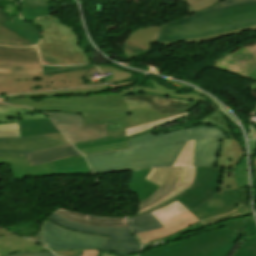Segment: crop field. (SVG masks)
Listing matches in <instances>:
<instances>
[{
  "mask_svg": "<svg viewBox=\"0 0 256 256\" xmlns=\"http://www.w3.org/2000/svg\"><path fill=\"white\" fill-rule=\"evenodd\" d=\"M123 99L128 109L148 108L171 116L188 112L199 104V102L167 98L155 94H133L124 96ZM201 102L212 106L217 111L207 118L200 119L195 125L213 124L222 127L224 132L231 137L230 140L223 138L217 168L196 167L195 181L188 189L173 199L136 216L148 214L175 200L200 220L227 212L235 207L242 216L252 214L247 200V188H237L234 180V169L245 153L218 108L207 99Z\"/></svg>",
  "mask_w": 256,
  "mask_h": 256,
  "instance_id": "crop-field-1",
  "label": "crop field"
},
{
  "mask_svg": "<svg viewBox=\"0 0 256 256\" xmlns=\"http://www.w3.org/2000/svg\"><path fill=\"white\" fill-rule=\"evenodd\" d=\"M222 137L226 138L225 134L214 127L190 128L157 136L149 132L128 139L129 149L85 157L93 174L154 166L144 179L161 187L139 204L142 210L174 191L182 182L186 167L172 166L188 141L195 140L193 167H214Z\"/></svg>",
  "mask_w": 256,
  "mask_h": 256,
  "instance_id": "crop-field-2",
  "label": "crop field"
},
{
  "mask_svg": "<svg viewBox=\"0 0 256 256\" xmlns=\"http://www.w3.org/2000/svg\"><path fill=\"white\" fill-rule=\"evenodd\" d=\"M0 101L10 105L31 107L38 111L83 114L84 123L106 124L109 135L123 133L128 127L171 117L148 109L128 110L119 92L13 100L0 98Z\"/></svg>",
  "mask_w": 256,
  "mask_h": 256,
  "instance_id": "crop-field-3",
  "label": "crop field"
},
{
  "mask_svg": "<svg viewBox=\"0 0 256 256\" xmlns=\"http://www.w3.org/2000/svg\"><path fill=\"white\" fill-rule=\"evenodd\" d=\"M256 25V0H223L217 5L162 25L157 41L202 38Z\"/></svg>",
  "mask_w": 256,
  "mask_h": 256,
  "instance_id": "crop-field-4",
  "label": "crop field"
},
{
  "mask_svg": "<svg viewBox=\"0 0 256 256\" xmlns=\"http://www.w3.org/2000/svg\"><path fill=\"white\" fill-rule=\"evenodd\" d=\"M31 23L44 30L41 42L37 45L44 64L92 63L78 46V36L75 31L62 25L59 19L46 15Z\"/></svg>",
  "mask_w": 256,
  "mask_h": 256,
  "instance_id": "crop-field-5",
  "label": "crop field"
},
{
  "mask_svg": "<svg viewBox=\"0 0 256 256\" xmlns=\"http://www.w3.org/2000/svg\"><path fill=\"white\" fill-rule=\"evenodd\" d=\"M96 70L92 68L46 76L0 73V95L85 86L83 76Z\"/></svg>",
  "mask_w": 256,
  "mask_h": 256,
  "instance_id": "crop-field-6",
  "label": "crop field"
},
{
  "mask_svg": "<svg viewBox=\"0 0 256 256\" xmlns=\"http://www.w3.org/2000/svg\"><path fill=\"white\" fill-rule=\"evenodd\" d=\"M238 238L227 229L216 230L142 256H226Z\"/></svg>",
  "mask_w": 256,
  "mask_h": 256,
  "instance_id": "crop-field-7",
  "label": "crop field"
},
{
  "mask_svg": "<svg viewBox=\"0 0 256 256\" xmlns=\"http://www.w3.org/2000/svg\"><path fill=\"white\" fill-rule=\"evenodd\" d=\"M46 219L70 230L109 236L101 250L118 256H128L140 251V245L129 227H95L71 222L55 213Z\"/></svg>",
  "mask_w": 256,
  "mask_h": 256,
  "instance_id": "crop-field-8",
  "label": "crop field"
},
{
  "mask_svg": "<svg viewBox=\"0 0 256 256\" xmlns=\"http://www.w3.org/2000/svg\"><path fill=\"white\" fill-rule=\"evenodd\" d=\"M107 237L75 232L57 226L46 219L40 228L39 242L53 250L100 249Z\"/></svg>",
  "mask_w": 256,
  "mask_h": 256,
  "instance_id": "crop-field-9",
  "label": "crop field"
},
{
  "mask_svg": "<svg viewBox=\"0 0 256 256\" xmlns=\"http://www.w3.org/2000/svg\"><path fill=\"white\" fill-rule=\"evenodd\" d=\"M178 202L175 201L152 212V214L165 227L162 229L137 234L136 237L141 242V244L172 235L181 229L197 221H200L189 210H187Z\"/></svg>",
  "mask_w": 256,
  "mask_h": 256,
  "instance_id": "crop-field-10",
  "label": "crop field"
},
{
  "mask_svg": "<svg viewBox=\"0 0 256 256\" xmlns=\"http://www.w3.org/2000/svg\"><path fill=\"white\" fill-rule=\"evenodd\" d=\"M64 137L61 133H57L26 138H2L0 157L27 158L25 153L68 144Z\"/></svg>",
  "mask_w": 256,
  "mask_h": 256,
  "instance_id": "crop-field-11",
  "label": "crop field"
},
{
  "mask_svg": "<svg viewBox=\"0 0 256 256\" xmlns=\"http://www.w3.org/2000/svg\"><path fill=\"white\" fill-rule=\"evenodd\" d=\"M71 143L106 136L105 125L84 124L83 116L73 113L44 112Z\"/></svg>",
  "mask_w": 256,
  "mask_h": 256,
  "instance_id": "crop-field-12",
  "label": "crop field"
},
{
  "mask_svg": "<svg viewBox=\"0 0 256 256\" xmlns=\"http://www.w3.org/2000/svg\"><path fill=\"white\" fill-rule=\"evenodd\" d=\"M42 64L36 47L7 48L0 46V72L42 75Z\"/></svg>",
  "mask_w": 256,
  "mask_h": 256,
  "instance_id": "crop-field-13",
  "label": "crop field"
},
{
  "mask_svg": "<svg viewBox=\"0 0 256 256\" xmlns=\"http://www.w3.org/2000/svg\"><path fill=\"white\" fill-rule=\"evenodd\" d=\"M49 251L38 243L0 228V256L17 252Z\"/></svg>",
  "mask_w": 256,
  "mask_h": 256,
  "instance_id": "crop-field-14",
  "label": "crop field"
},
{
  "mask_svg": "<svg viewBox=\"0 0 256 256\" xmlns=\"http://www.w3.org/2000/svg\"><path fill=\"white\" fill-rule=\"evenodd\" d=\"M125 134L106 136L88 141L74 143L73 145L83 154H93L112 150L125 149L127 147Z\"/></svg>",
  "mask_w": 256,
  "mask_h": 256,
  "instance_id": "crop-field-15",
  "label": "crop field"
},
{
  "mask_svg": "<svg viewBox=\"0 0 256 256\" xmlns=\"http://www.w3.org/2000/svg\"><path fill=\"white\" fill-rule=\"evenodd\" d=\"M193 150H194V141L188 142V144L185 146V148L183 149V151L181 152L180 156L178 157V159L176 160V162L173 166V167L187 166L185 178H184L183 182L179 185V187L174 192L169 194L168 196L164 197L160 201L154 203L153 205L149 206L148 208H146L142 211L153 208V207L173 198L174 196H176L177 194H179L180 192H182L183 190H185L192 184V182L194 180V175H195V167L192 168ZM142 211H139V213Z\"/></svg>",
  "mask_w": 256,
  "mask_h": 256,
  "instance_id": "crop-field-16",
  "label": "crop field"
},
{
  "mask_svg": "<svg viewBox=\"0 0 256 256\" xmlns=\"http://www.w3.org/2000/svg\"><path fill=\"white\" fill-rule=\"evenodd\" d=\"M0 25L21 35L34 45L38 43L40 38V30L18 16L9 18L2 7H0Z\"/></svg>",
  "mask_w": 256,
  "mask_h": 256,
  "instance_id": "crop-field-17",
  "label": "crop field"
},
{
  "mask_svg": "<svg viewBox=\"0 0 256 256\" xmlns=\"http://www.w3.org/2000/svg\"><path fill=\"white\" fill-rule=\"evenodd\" d=\"M0 164H8L14 178L43 177L51 175L49 163L29 167L27 159L0 158Z\"/></svg>",
  "mask_w": 256,
  "mask_h": 256,
  "instance_id": "crop-field-18",
  "label": "crop field"
},
{
  "mask_svg": "<svg viewBox=\"0 0 256 256\" xmlns=\"http://www.w3.org/2000/svg\"><path fill=\"white\" fill-rule=\"evenodd\" d=\"M26 155L28 157L30 166H34L80 154L71 144H68L64 146L28 153Z\"/></svg>",
  "mask_w": 256,
  "mask_h": 256,
  "instance_id": "crop-field-19",
  "label": "crop field"
},
{
  "mask_svg": "<svg viewBox=\"0 0 256 256\" xmlns=\"http://www.w3.org/2000/svg\"><path fill=\"white\" fill-rule=\"evenodd\" d=\"M160 26H151L146 29H140L132 32L128 39L125 41L127 46L134 48L152 49L150 43H155L158 37ZM153 50V49H152ZM125 56L136 57L133 51L123 50Z\"/></svg>",
  "mask_w": 256,
  "mask_h": 256,
  "instance_id": "crop-field-20",
  "label": "crop field"
},
{
  "mask_svg": "<svg viewBox=\"0 0 256 256\" xmlns=\"http://www.w3.org/2000/svg\"><path fill=\"white\" fill-rule=\"evenodd\" d=\"M52 175H91L82 155L52 162Z\"/></svg>",
  "mask_w": 256,
  "mask_h": 256,
  "instance_id": "crop-field-21",
  "label": "crop field"
},
{
  "mask_svg": "<svg viewBox=\"0 0 256 256\" xmlns=\"http://www.w3.org/2000/svg\"><path fill=\"white\" fill-rule=\"evenodd\" d=\"M54 212L59 215L83 224L95 225V226H129L125 217L120 218H101L94 216L81 215L77 213H73L61 208L56 209Z\"/></svg>",
  "mask_w": 256,
  "mask_h": 256,
  "instance_id": "crop-field-22",
  "label": "crop field"
},
{
  "mask_svg": "<svg viewBox=\"0 0 256 256\" xmlns=\"http://www.w3.org/2000/svg\"><path fill=\"white\" fill-rule=\"evenodd\" d=\"M120 93L122 96L127 94H133V93H156V94H160L168 97L186 99L191 101H201L206 99L197 94H175L174 92L163 87L162 85H160L158 82L154 80L138 87L137 89L121 91Z\"/></svg>",
  "mask_w": 256,
  "mask_h": 256,
  "instance_id": "crop-field-23",
  "label": "crop field"
},
{
  "mask_svg": "<svg viewBox=\"0 0 256 256\" xmlns=\"http://www.w3.org/2000/svg\"><path fill=\"white\" fill-rule=\"evenodd\" d=\"M21 137L60 132L49 118L18 120Z\"/></svg>",
  "mask_w": 256,
  "mask_h": 256,
  "instance_id": "crop-field-24",
  "label": "crop field"
},
{
  "mask_svg": "<svg viewBox=\"0 0 256 256\" xmlns=\"http://www.w3.org/2000/svg\"><path fill=\"white\" fill-rule=\"evenodd\" d=\"M150 170L132 172L127 183V186L138 196L139 203L150 196L159 187L143 179Z\"/></svg>",
  "mask_w": 256,
  "mask_h": 256,
  "instance_id": "crop-field-25",
  "label": "crop field"
},
{
  "mask_svg": "<svg viewBox=\"0 0 256 256\" xmlns=\"http://www.w3.org/2000/svg\"><path fill=\"white\" fill-rule=\"evenodd\" d=\"M44 114L26 108L11 107L0 103V123H18L17 119L42 118Z\"/></svg>",
  "mask_w": 256,
  "mask_h": 256,
  "instance_id": "crop-field-26",
  "label": "crop field"
},
{
  "mask_svg": "<svg viewBox=\"0 0 256 256\" xmlns=\"http://www.w3.org/2000/svg\"><path fill=\"white\" fill-rule=\"evenodd\" d=\"M50 1L61 2L63 0H22L20 2L21 17L27 21H32L33 19L50 14Z\"/></svg>",
  "mask_w": 256,
  "mask_h": 256,
  "instance_id": "crop-field-27",
  "label": "crop field"
},
{
  "mask_svg": "<svg viewBox=\"0 0 256 256\" xmlns=\"http://www.w3.org/2000/svg\"><path fill=\"white\" fill-rule=\"evenodd\" d=\"M107 86H94V87H84V88H75L68 90H58V91H48V92H40V93H32V94H24V95H16V96H8L4 98L13 99L15 97H52V96H60V95H86L100 91H106Z\"/></svg>",
  "mask_w": 256,
  "mask_h": 256,
  "instance_id": "crop-field-28",
  "label": "crop field"
},
{
  "mask_svg": "<svg viewBox=\"0 0 256 256\" xmlns=\"http://www.w3.org/2000/svg\"><path fill=\"white\" fill-rule=\"evenodd\" d=\"M128 222L134 234L164 227L151 213L145 216L128 219Z\"/></svg>",
  "mask_w": 256,
  "mask_h": 256,
  "instance_id": "crop-field-29",
  "label": "crop field"
},
{
  "mask_svg": "<svg viewBox=\"0 0 256 256\" xmlns=\"http://www.w3.org/2000/svg\"><path fill=\"white\" fill-rule=\"evenodd\" d=\"M244 229L246 231V234H253L255 235L249 237L239 248L238 250L233 254V256H256V252L253 248L252 243L256 241V226L255 222H245L243 223ZM249 246V248H248Z\"/></svg>",
  "mask_w": 256,
  "mask_h": 256,
  "instance_id": "crop-field-30",
  "label": "crop field"
},
{
  "mask_svg": "<svg viewBox=\"0 0 256 256\" xmlns=\"http://www.w3.org/2000/svg\"><path fill=\"white\" fill-rule=\"evenodd\" d=\"M188 116H189V112L185 113V114L177 115V116H174V117H171V118H168V119H164V120H161V121H157V122H153V123H149V124L129 128V129L126 130L125 134H126L127 137H129V136L138 134L140 132L152 129L154 127L161 126V125H164V124H167V123H170V122H173V121H176V120L188 117Z\"/></svg>",
  "mask_w": 256,
  "mask_h": 256,
  "instance_id": "crop-field-31",
  "label": "crop field"
},
{
  "mask_svg": "<svg viewBox=\"0 0 256 256\" xmlns=\"http://www.w3.org/2000/svg\"><path fill=\"white\" fill-rule=\"evenodd\" d=\"M254 220L252 216L250 217H246V218H241V219H236V220H232V221H227V222H223L217 226L211 227L209 229H206V231L211 230L213 228L216 227H220L223 225H226L228 230L234 235V236H240V235H246L243 229V226L241 224V222H245V221H251Z\"/></svg>",
  "mask_w": 256,
  "mask_h": 256,
  "instance_id": "crop-field-32",
  "label": "crop field"
},
{
  "mask_svg": "<svg viewBox=\"0 0 256 256\" xmlns=\"http://www.w3.org/2000/svg\"><path fill=\"white\" fill-rule=\"evenodd\" d=\"M174 1H180V0H174ZM188 5L187 9L189 12H197L206 8H209L221 0H186Z\"/></svg>",
  "mask_w": 256,
  "mask_h": 256,
  "instance_id": "crop-field-33",
  "label": "crop field"
},
{
  "mask_svg": "<svg viewBox=\"0 0 256 256\" xmlns=\"http://www.w3.org/2000/svg\"><path fill=\"white\" fill-rule=\"evenodd\" d=\"M101 70L102 73H106V72H111L112 76V80H108L105 81L106 83H112V82H120V81H124L126 79H129L131 74L122 72L120 70L117 69H112V68H108L106 66H98Z\"/></svg>",
  "mask_w": 256,
  "mask_h": 256,
  "instance_id": "crop-field-34",
  "label": "crop field"
},
{
  "mask_svg": "<svg viewBox=\"0 0 256 256\" xmlns=\"http://www.w3.org/2000/svg\"><path fill=\"white\" fill-rule=\"evenodd\" d=\"M94 66L92 65H81V66H70V67H51V66H45L43 65V75L46 74H53V73H59V72H65V71H74V70H81L85 68H92Z\"/></svg>",
  "mask_w": 256,
  "mask_h": 256,
  "instance_id": "crop-field-35",
  "label": "crop field"
},
{
  "mask_svg": "<svg viewBox=\"0 0 256 256\" xmlns=\"http://www.w3.org/2000/svg\"><path fill=\"white\" fill-rule=\"evenodd\" d=\"M235 180L238 187H247L246 158L235 172Z\"/></svg>",
  "mask_w": 256,
  "mask_h": 256,
  "instance_id": "crop-field-36",
  "label": "crop field"
},
{
  "mask_svg": "<svg viewBox=\"0 0 256 256\" xmlns=\"http://www.w3.org/2000/svg\"><path fill=\"white\" fill-rule=\"evenodd\" d=\"M0 35H2L3 37L21 45V46H33L30 42H28L24 38L12 33L11 31H9L1 26H0Z\"/></svg>",
  "mask_w": 256,
  "mask_h": 256,
  "instance_id": "crop-field-37",
  "label": "crop field"
},
{
  "mask_svg": "<svg viewBox=\"0 0 256 256\" xmlns=\"http://www.w3.org/2000/svg\"><path fill=\"white\" fill-rule=\"evenodd\" d=\"M254 29H256V26L250 27V28L241 29V30H237V31H233V32H229V33L218 34V35H214V36H210V37H206V38H202V39L187 40V42L207 41V40H211V39H215V38H219V37H223V36H227V35L243 32V31H247V30H254ZM158 43H160V45H170V44H174V43H177V42H168V43L158 42Z\"/></svg>",
  "mask_w": 256,
  "mask_h": 256,
  "instance_id": "crop-field-38",
  "label": "crop field"
},
{
  "mask_svg": "<svg viewBox=\"0 0 256 256\" xmlns=\"http://www.w3.org/2000/svg\"><path fill=\"white\" fill-rule=\"evenodd\" d=\"M148 78V77H146ZM146 78H143V79H146ZM141 78L139 79H136V80H132V81H128V82H124V83H119V84H109L107 85L108 86V89L111 90V89H117V88H120V87H127V86H131L132 84L138 82V81H141L143 80Z\"/></svg>",
  "mask_w": 256,
  "mask_h": 256,
  "instance_id": "crop-field-39",
  "label": "crop field"
},
{
  "mask_svg": "<svg viewBox=\"0 0 256 256\" xmlns=\"http://www.w3.org/2000/svg\"><path fill=\"white\" fill-rule=\"evenodd\" d=\"M10 256H55L54 254L49 252H40V253H18V254H12Z\"/></svg>",
  "mask_w": 256,
  "mask_h": 256,
  "instance_id": "crop-field-40",
  "label": "crop field"
},
{
  "mask_svg": "<svg viewBox=\"0 0 256 256\" xmlns=\"http://www.w3.org/2000/svg\"><path fill=\"white\" fill-rule=\"evenodd\" d=\"M55 254L60 256H81L82 251H54Z\"/></svg>",
  "mask_w": 256,
  "mask_h": 256,
  "instance_id": "crop-field-41",
  "label": "crop field"
},
{
  "mask_svg": "<svg viewBox=\"0 0 256 256\" xmlns=\"http://www.w3.org/2000/svg\"><path fill=\"white\" fill-rule=\"evenodd\" d=\"M19 130L18 124H0V131Z\"/></svg>",
  "mask_w": 256,
  "mask_h": 256,
  "instance_id": "crop-field-42",
  "label": "crop field"
},
{
  "mask_svg": "<svg viewBox=\"0 0 256 256\" xmlns=\"http://www.w3.org/2000/svg\"><path fill=\"white\" fill-rule=\"evenodd\" d=\"M2 137H20V134H19V131L0 132V138Z\"/></svg>",
  "mask_w": 256,
  "mask_h": 256,
  "instance_id": "crop-field-43",
  "label": "crop field"
},
{
  "mask_svg": "<svg viewBox=\"0 0 256 256\" xmlns=\"http://www.w3.org/2000/svg\"><path fill=\"white\" fill-rule=\"evenodd\" d=\"M102 251L100 250H90V251H83L82 256H99Z\"/></svg>",
  "mask_w": 256,
  "mask_h": 256,
  "instance_id": "crop-field-44",
  "label": "crop field"
},
{
  "mask_svg": "<svg viewBox=\"0 0 256 256\" xmlns=\"http://www.w3.org/2000/svg\"><path fill=\"white\" fill-rule=\"evenodd\" d=\"M250 155H254L256 151V141H249Z\"/></svg>",
  "mask_w": 256,
  "mask_h": 256,
  "instance_id": "crop-field-45",
  "label": "crop field"
},
{
  "mask_svg": "<svg viewBox=\"0 0 256 256\" xmlns=\"http://www.w3.org/2000/svg\"><path fill=\"white\" fill-rule=\"evenodd\" d=\"M0 41H1L2 43H4V44L8 45V46H19V45L13 43V42H11V41H9V40H7V39L1 37V36H0Z\"/></svg>",
  "mask_w": 256,
  "mask_h": 256,
  "instance_id": "crop-field-46",
  "label": "crop field"
},
{
  "mask_svg": "<svg viewBox=\"0 0 256 256\" xmlns=\"http://www.w3.org/2000/svg\"><path fill=\"white\" fill-rule=\"evenodd\" d=\"M247 139H256V129L253 126H252L251 135Z\"/></svg>",
  "mask_w": 256,
  "mask_h": 256,
  "instance_id": "crop-field-47",
  "label": "crop field"
},
{
  "mask_svg": "<svg viewBox=\"0 0 256 256\" xmlns=\"http://www.w3.org/2000/svg\"><path fill=\"white\" fill-rule=\"evenodd\" d=\"M181 234H182V232L179 233V234H177L176 236H174V237H172V238L164 239V240H162V241H164V242L166 243L167 241L175 240V239H177V238H180Z\"/></svg>",
  "mask_w": 256,
  "mask_h": 256,
  "instance_id": "crop-field-48",
  "label": "crop field"
},
{
  "mask_svg": "<svg viewBox=\"0 0 256 256\" xmlns=\"http://www.w3.org/2000/svg\"><path fill=\"white\" fill-rule=\"evenodd\" d=\"M101 256H116V255H114L112 253H108V252H102ZM133 256H137V254L133 255Z\"/></svg>",
  "mask_w": 256,
  "mask_h": 256,
  "instance_id": "crop-field-49",
  "label": "crop field"
},
{
  "mask_svg": "<svg viewBox=\"0 0 256 256\" xmlns=\"http://www.w3.org/2000/svg\"><path fill=\"white\" fill-rule=\"evenodd\" d=\"M146 169H150V168H146ZM136 170H145V169H136ZM127 171H135V170H126V171H117V172H127ZM117 172H109V173H117Z\"/></svg>",
  "mask_w": 256,
  "mask_h": 256,
  "instance_id": "crop-field-50",
  "label": "crop field"
},
{
  "mask_svg": "<svg viewBox=\"0 0 256 256\" xmlns=\"http://www.w3.org/2000/svg\"><path fill=\"white\" fill-rule=\"evenodd\" d=\"M254 161H255V168H256V157L254 158Z\"/></svg>",
  "mask_w": 256,
  "mask_h": 256,
  "instance_id": "crop-field-51",
  "label": "crop field"
},
{
  "mask_svg": "<svg viewBox=\"0 0 256 256\" xmlns=\"http://www.w3.org/2000/svg\"><path fill=\"white\" fill-rule=\"evenodd\" d=\"M254 247H255V249H256V243H254Z\"/></svg>",
  "mask_w": 256,
  "mask_h": 256,
  "instance_id": "crop-field-52",
  "label": "crop field"
},
{
  "mask_svg": "<svg viewBox=\"0 0 256 256\" xmlns=\"http://www.w3.org/2000/svg\"><path fill=\"white\" fill-rule=\"evenodd\" d=\"M0 45H4V44H2L1 42H0ZM6 46V45H5Z\"/></svg>",
  "mask_w": 256,
  "mask_h": 256,
  "instance_id": "crop-field-53",
  "label": "crop field"
},
{
  "mask_svg": "<svg viewBox=\"0 0 256 256\" xmlns=\"http://www.w3.org/2000/svg\"><path fill=\"white\" fill-rule=\"evenodd\" d=\"M254 113H256V109H255Z\"/></svg>",
  "mask_w": 256,
  "mask_h": 256,
  "instance_id": "crop-field-54",
  "label": "crop field"
},
{
  "mask_svg": "<svg viewBox=\"0 0 256 256\" xmlns=\"http://www.w3.org/2000/svg\"><path fill=\"white\" fill-rule=\"evenodd\" d=\"M255 90H256V88H255Z\"/></svg>",
  "mask_w": 256,
  "mask_h": 256,
  "instance_id": "crop-field-55",
  "label": "crop field"
}]
</instances>
